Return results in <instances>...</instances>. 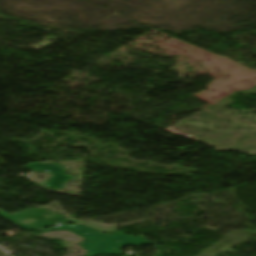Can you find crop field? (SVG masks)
<instances>
[{
  "instance_id": "1",
  "label": "crop field",
  "mask_w": 256,
  "mask_h": 256,
  "mask_svg": "<svg viewBox=\"0 0 256 256\" xmlns=\"http://www.w3.org/2000/svg\"><path fill=\"white\" fill-rule=\"evenodd\" d=\"M49 230H70L84 237L86 240L81 244V246L83 249L88 251L86 256H95L98 254L121 255L119 249L122 245H139L142 243L154 244L153 242L145 240L142 235L132 237L124 233L116 232L111 236H106L85 225L70 226L68 224H64L57 227H51L49 229L38 230V232ZM116 241L120 242L116 243ZM113 248L115 249L113 250Z\"/></svg>"
},
{
  "instance_id": "2",
  "label": "crop field",
  "mask_w": 256,
  "mask_h": 256,
  "mask_svg": "<svg viewBox=\"0 0 256 256\" xmlns=\"http://www.w3.org/2000/svg\"><path fill=\"white\" fill-rule=\"evenodd\" d=\"M0 213V216H2L3 218L15 223L16 225L28 231L68 223L67 219L63 216L55 212L41 210L38 208L26 210L12 215L2 210H0Z\"/></svg>"
},
{
  "instance_id": "3",
  "label": "crop field",
  "mask_w": 256,
  "mask_h": 256,
  "mask_svg": "<svg viewBox=\"0 0 256 256\" xmlns=\"http://www.w3.org/2000/svg\"><path fill=\"white\" fill-rule=\"evenodd\" d=\"M35 171H49L53 173L54 176L48 182L47 187L58 189L67 183L68 180L73 179L63 174L64 170L56 164H31L27 166Z\"/></svg>"
}]
</instances>
